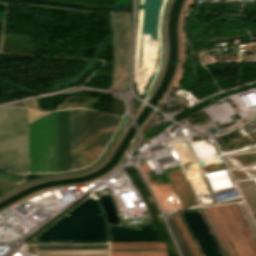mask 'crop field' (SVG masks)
Instances as JSON below:
<instances>
[{
  "mask_svg": "<svg viewBox=\"0 0 256 256\" xmlns=\"http://www.w3.org/2000/svg\"><path fill=\"white\" fill-rule=\"evenodd\" d=\"M36 256H108V250L36 251Z\"/></svg>",
  "mask_w": 256,
  "mask_h": 256,
  "instance_id": "obj_8",
  "label": "crop field"
},
{
  "mask_svg": "<svg viewBox=\"0 0 256 256\" xmlns=\"http://www.w3.org/2000/svg\"><path fill=\"white\" fill-rule=\"evenodd\" d=\"M30 172L58 171L57 111L29 123Z\"/></svg>",
  "mask_w": 256,
  "mask_h": 256,
  "instance_id": "obj_2",
  "label": "crop field"
},
{
  "mask_svg": "<svg viewBox=\"0 0 256 256\" xmlns=\"http://www.w3.org/2000/svg\"><path fill=\"white\" fill-rule=\"evenodd\" d=\"M110 256H167L166 252H110Z\"/></svg>",
  "mask_w": 256,
  "mask_h": 256,
  "instance_id": "obj_12",
  "label": "crop field"
},
{
  "mask_svg": "<svg viewBox=\"0 0 256 256\" xmlns=\"http://www.w3.org/2000/svg\"><path fill=\"white\" fill-rule=\"evenodd\" d=\"M169 220H170V224H171L172 230H173V232H174V234H175V236H176V238L178 240V243H179V245H180V247H181V249L183 251L184 256H192V254H191L187 244L185 243V241H184L180 231L178 230V228H177V226H176L172 216H170Z\"/></svg>",
  "mask_w": 256,
  "mask_h": 256,
  "instance_id": "obj_11",
  "label": "crop field"
},
{
  "mask_svg": "<svg viewBox=\"0 0 256 256\" xmlns=\"http://www.w3.org/2000/svg\"><path fill=\"white\" fill-rule=\"evenodd\" d=\"M242 234L244 235L251 251L253 252L254 256H256V241L248 228L243 216L241 215L236 203L228 204Z\"/></svg>",
  "mask_w": 256,
  "mask_h": 256,
  "instance_id": "obj_7",
  "label": "crop field"
},
{
  "mask_svg": "<svg viewBox=\"0 0 256 256\" xmlns=\"http://www.w3.org/2000/svg\"><path fill=\"white\" fill-rule=\"evenodd\" d=\"M72 170L87 166L86 110H71Z\"/></svg>",
  "mask_w": 256,
  "mask_h": 256,
  "instance_id": "obj_6",
  "label": "crop field"
},
{
  "mask_svg": "<svg viewBox=\"0 0 256 256\" xmlns=\"http://www.w3.org/2000/svg\"><path fill=\"white\" fill-rule=\"evenodd\" d=\"M110 249H165L162 243H109Z\"/></svg>",
  "mask_w": 256,
  "mask_h": 256,
  "instance_id": "obj_10",
  "label": "crop field"
},
{
  "mask_svg": "<svg viewBox=\"0 0 256 256\" xmlns=\"http://www.w3.org/2000/svg\"><path fill=\"white\" fill-rule=\"evenodd\" d=\"M36 250L108 249L107 245H35Z\"/></svg>",
  "mask_w": 256,
  "mask_h": 256,
  "instance_id": "obj_9",
  "label": "crop field"
},
{
  "mask_svg": "<svg viewBox=\"0 0 256 256\" xmlns=\"http://www.w3.org/2000/svg\"><path fill=\"white\" fill-rule=\"evenodd\" d=\"M116 128V116L87 110L88 165L96 160Z\"/></svg>",
  "mask_w": 256,
  "mask_h": 256,
  "instance_id": "obj_4",
  "label": "crop field"
},
{
  "mask_svg": "<svg viewBox=\"0 0 256 256\" xmlns=\"http://www.w3.org/2000/svg\"><path fill=\"white\" fill-rule=\"evenodd\" d=\"M230 240L232 241L237 253L239 256H253V252L251 253L248 245H247V241L245 242L227 204H223V205H216L214 206ZM213 206H208L206 207L213 223L215 224L222 240L225 241H229V238L214 210ZM231 241L229 242H225V245L230 253L231 256H238Z\"/></svg>",
  "mask_w": 256,
  "mask_h": 256,
  "instance_id": "obj_5",
  "label": "crop field"
},
{
  "mask_svg": "<svg viewBox=\"0 0 256 256\" xmlns=\"http://www.w3.org/2000/svg\"><path fill=\"white\" fill-rule=\"evenodd\" d=\"M0 178L8 180V181H11V182L16 183V184L24 181V179L12 177V176H9V175H6V174H2V173H0Z\"/></svg>",
  "mask_w": 256,
  "mask_h": 256,
  "instance_id": "obj_13",
  "label": "crop field"
},
{
  "mask_svg": "<svg viewBox=\"0 0 256 256\" xmlns=\"http://www.w3.org/2000/svg\"><path fill=\"white\" fill-rule=\"evenodd\" d=\"M0 169L29 173L26 108L0 109Z\"/></svg>",
  "mask_w": 256,
  "mask_h": 256,
  "instance_id": "obj_1",
  "label": "crop field"
},
{
  "mask_svg": "<svg viewBox=\"0 0 256 256\" xmlns=\"http://www.w3.org/2000/svg\"><path fill=\"white\" fill-rule=\"evenodd\" d=\"M112 27V50L114 70L110 88H127L128 61L130 52V19L129 13L110 14ZM116 26H119L116 28ZM126 34V36H124ZM120 76V78H117ZM109 88V89H110Z\"/></svg>",
  "mask_w": 256,
  "mask_h": 256,
  "instance_id": "obj_3",
  "label": "crop field"
},
{
  "mask_svg": "<svg viewBox=\"0 0 256 256\" xmlns=\"http://www.w3.org/2000/svg\"><path fill=\"white\" fill-rule=\"evenodd\" d=\"M175 212H176V214H177V216H178V218H179V220H180V222H181L182 226L184 227V229H185V231H186V233H187V235H188V237H189V239H190L191 243L193 244V246H194V248H195V250H196V252H197L198 256H200V254H199V252H198L197 248L195 247V245H194V243H193V241H192L191 237L189 236V234H188V232H187V230H186V228H185L184 224L182 223V221H181V219H180V217H179V215H178L177 211H175Z\"/></svg>",
  "mask_w": 256,
  "mask_h": 256,
  "instance_id": "obj_14",
  "label": "crop field"
}]
</instances>
